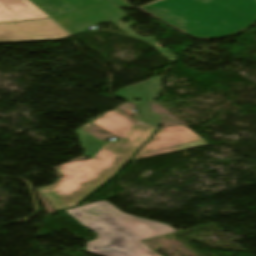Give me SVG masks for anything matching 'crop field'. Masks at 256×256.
I'll return each instance as SVG.
<instances>
[{
  "mask_svg": "<svg viewBox=\"0 0 256 256\" xmlns=\"http://www.w3.org/2000/svg\"><path fill=\"white\" fill-rule=\"evenodd\" d=\"M78 12H80L95 25L100 23H112L127 16V14H125L118 7H86L78 10Z\"/></svg>",
  "mask_w": 256,
  "mask_h": 256,
  "instance_id": "8",
  "label": "crop field"
},
{
  "mask_svg": "<svg viewBox=\"0 0 256 256\" xmlns=\"http://www.w3.org/2000/svg\"><path fill=\"white\" fill-rule=\"evenodd\" d=\"M117 6H126V7H132L129 3H127L125 0H110Z\"/></svg>",
  "mask_w": 256,
  "mask_h": 256,
  "instance_id": "13",
  "label": "crop field"
},
{
  "mask_svg": "<svg viewBox=\"0 0 256 256\" xmlns=\"http://www.w3.org/2000/svg\"><path fill=\"white\" fill-rule=\"evenodd\" d=\"M207 144L189 128L180 125L171 126L160 129L132 160Z\"/></svg>",
  "mask_w": 256,
  "mask_h": 256,
  "instance_id": "5",
  "label": "crop field"
},
{
  "mask_svg": "<svg viewBox=\"0 0 256 256\" xmlns=\"http://www.w3.org/2000/svg\"><path fill=\"white\" fill-rule=\"evenodd\" d=\"M136 22L132 21V22H128L126 24L122 23L120 20L113 23L118 29H120L123 33L127 34V35H130V36H133V37H136V38H139V39H142V40H145L147 42H149L150 44H152L154 47H156L158 50H160L171 62H175L177 57L174 56L170 51H168L167 49L165 48H162L160 47L158 44H156L154 42V38H151V37H142V36H138L133 30H131L128 26L134 24Z\"/></svg>",
  "mask_w": 256,
  "mask_h": 256,
  "instance_id": "11",
  "label": "crop field"
},
{
  "mask_svg": "<svg viewBox=\"0 0 256 256\" xmlns=\"http://www.w3.org/2000/svg\"><path fill=\"white\" fill-rule=\"evenodd\" d=\"M147 80H149V79H147ZM147 80H145V81H147ZM159 80H160V78L154 77V79L151 80V82H149V83L143 84L141 86L129 89V90L121 92V93L118 92L114 95L136 104L138 106L141 119L144 122L152 124V125L160 126L161 122H160L159 117L157 115L151 113L150 109H149V104H150L151 100L158 97V95L160 93V88L158 86ZM129 87H131V86H129ZM126 88H128V87H126ZM123 89H125V88H123ZM123 89H121V90H123ZM133 97L142 100V102L141 103L134 102L132 100Z\"/></svg>",
  "mask_w": 256,
  "mask_h": 256,
  "instance_id": "6",
  "label": "crop field"
},
{
  "mask_svg": "<svg viewBox=\"0 0 256 256\" xmlns=\"http://www.w3.org/2000/svg\"><path fill=\"white\" fill-rule=\"evenodd\" d=\"M74 36L86 31L93 26L88 20L76 11L53 18Z\"/></svg>",
  "mask_w": 256,
  "mask_h": 256,
  "instance_id": "9",
  "label": "crop field"
},
{
  "mask_svg": "<svg viewBox=\"0 0 256 256\" xmlns=\"http://www.w3.org/2000/svg\"><path fill=\"white\" fill-rule=\"evenodd\" d=\"M66 212L98 237L86 251L99 256H159L140 240L175 232L166 224L122 213L107 201L67 209Z\"/></svg>",
  "mask_w": 256,
  "mask_h": 256,
  "instance_id": "3",
  "label": "crop field"
},
{
  "mask_svg": "<svg viewBox=\"0 0 256 256\" xmlns=\"http://www.w3.org/2000/svg\"><path fill=\"white\" fill-rule=\"evenodd\" d=\"M50 17L63 14L73 9L62 0H31Z\"/></svg>",
  "mask_w": 256,
  "mask_h": 256,
  "instance_id": "10",
  "label": "crop field"
},
{
  "mask_svg": "<svg viewBox=\"0 0 256 256\" xmlns=\"http://www.w3.org/2000/svg\"><path fill=\"white\" fill-rule=\"evenodd\" d=\"M91 123L120 139L102 142L77 130L84 155L91 159L60 165L57 169L62 177L54 185L39 190L55 210L74 207L114 176L157 129L117 109L104 113Z\"/></svg>",
  "mask_w": 256,
  "mask_h": 256,
  "instance_id": "1",
  "label": "crop field"
},
{
  "mask_svg": "<svg viewBox=\"0 0 256 256\" xmlns=\"http://www.w3.org/2000/svg\"><path fill=\"white\" fill-rule=\"evenodd\" d=\"M75 9L83 8L88 5H109V6H116L109 0H65Z\"/></svg>",
  "mask_w": 256,
  "mask_h": 256,
  "instance_id": "12",
  "label": "crop field"
},
{
  "mask_svg": "<svg viewBox=\"0 0 256 256\" xmlns=\"http://www.w3.org/2000/svg\"><path fill=\"white\" fill-rule=\"evenodd\" d=\"M70 37L50 19L0 23V43L62 40Z\"/></svg>",
  "mask_w": 256,
  "mask_h": 256,
  "instance_id": "4",
  "label": "crop field"
},
{
  "mask_svg": "<svg viewBox=\"0 0 256 256\" xmlns=\"http://www.w3.org/2000/svg\"><path fill=\"white\" fill-rule=\"evenodd\" d=\"M140 8L198 40L231 36L256 21V0H160Z\"/></svg>",
  "mask_w": 256,
  "mask_h": 256,
  "instance_id": "2",
  "label": "crop field"
},
{
  "mask_svg": "<svg viewBox=\"0 0 256 256\" xmlns=\"http://www.w3.org/2000/svg\"><path fill=\"white\" fill-rule=\"evenodd\" d=\"M27 0H0V22L46 18Z\"/></svg>",
  "mask_w": 256,
  "mask_h": 256,
  "instance_id": "7",
  "label": "crop field"
}]
</instances>
